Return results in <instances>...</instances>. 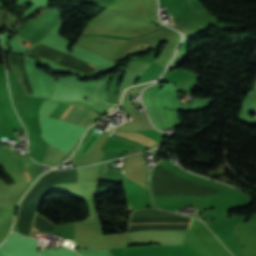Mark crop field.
<instances>
[{
  "instance_id": "obj_1",
  "label": "crop field",
  "mask_w": 256,
  "mask_h": 256,
  "mask_svg": "<svg viewBox=\"0 0 256 256\" xmlns=\"http://www.w3.org/2000/svg\"><path fill=\"white\" fill-rule=\"evenodd\" d=\"M187 231H140L127 233L138 245L182 244Z\"/></svg>"
},
{
  "instance_id": "obj_2",
  "label": "crop field",
  "mask_w": 256,
  "mask_h": 256,
  "mask_svg": "<svg viewBox=\"0 0 256 256\" xmlns=\"http://www.w3.org/2000/svg\"><path fill=\"white\" fill-rule=\"evenodd\" d=\"M97 181L61 184L55 191L66 193L75 199L88 203L90 215L96 214L93 198Z\"/></svg>"
},
{
  "instance_id": "obj_3",
  "label": "crop field",
  "mask_w": 256,
  "mask_h": 256,
  "mask_svg": "<svg viewBox=\"0 0 256 256\" xmlns=\"http://www.w3.org/2000/svg\"><path fill=\"white\" fill-rule=\"evenodd\" d=\"M72 105L69 107V109L62 115L60 120L63 118V116L70 110ZM98 115H96L94 112H92L90 109L82 108L73 106L71 110L64 116L62 120L68 121L80 126L90 127L92 122L95 120V118Z\"/></svg>"
},
{
  "instance_id": "obj_4",
  "label": "crop field",
  "mask_w": 256,
  "mask_h": 256,
  "mask_svg": "<svg viewBox=\"0 0 256 256\" xmlns=\"http://www.w3.org/2000/svg\"><path fill=\"white\" fill-rule=\"evenodd\" d=\"M109 140L122 143L134 148H137L139 145L144 148H150L156 141L149 139L143 135H140L136 132H119L115 131Z\"/></svg>"
},
{
  "instance_id": "obj_5",
  "label": "crop field",
  "mask_w": 256,
  "mask_h": 256,
  "mask_svg": "<svg viewBox=\"0 0 256 256\" xmlns=\"http://www.w3.org/2000/svg\"><path fill=\"white\" fill-rule=\"evenodd\" d=\"M123 72H124V69H122L120 73L114 75L110 83V86L108 88V95H107L106 102L115 104V95H116L117 87L122 79Z\"/></svg>"
},
{
  "instance_id": "obj_6",
  "label": "crop field",
  "mask_w": 256,
  "mask_h": 256,
  "mask_svg": "<svg viewBox=\"0 0 256 256\" xmlns=\"http://www.w3.org/2000/svg\"><path fill=\"white\" fill-rule=\"evenodd\" d=\"M64 256H79L75 251L73 250H65L60 251Z\"/></svg>"
},
{
  "instance_id": "obj_7",
  "label": "crop field",
  "mask_w": 256,
  "mask_h": 256,
  "mask_svg": "<svg viewBox=\"0 0 256 256\" xmlns=\"http://www.w3.org/2000/svg\"><path fill=\"white\" fill-rule=\"evenodd\" d=\"M25 172V171H24ZM25 174H26V172H25ZM26 177H27V179L29 180V177H28V175L26 174Z\"/></svg>"
},
{
  "instance_id": "obj_8",
  "label": "crop field",
  "mask_w": 256,
  "mask_h": 256,
  "mask_svg": "<svg viewBox=\"0 0 256 256\" xmlns=\"http://www.w3.org/2000/svg\"><path fill=\"white\" fill-rule=\"evenodd\" d=\"M89 66H92V65H90V64H89ZM92 67H94V68H95V66H92Z\"/></svg>"
}]
</instances>
